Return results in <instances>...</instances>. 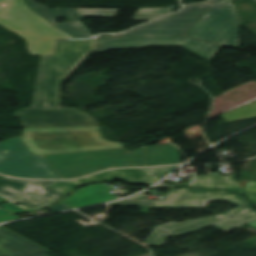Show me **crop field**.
<instances>
[{
	"label": "crop field",
	"mask_w": 256,
	"mask_h": 256,
	"mask_svg": "<svg viewBox=\"0 0 256 256\" xmlns=\"http://www.w3.org/2000/svg\"><path fill=\"white\" fill-rule=\"evenodd\" d=\"M233 0H207L126 33L99 35L96 52L106 49L182 46L210 61L222 46L238 45V19ZM256 2V0H254ZM169 35L170 37L113 38Z\"/></svg>",
	"instance_id": "1"
},
{
	"label": "crop field",
	"mask_w": 256,
	"mask_h": 256,
	"mask_svg": "<svg viewBox=\"0 0 256 256\" xmlns=\"http://www.w3.org/2000/svg\"><path fill=\"white\" fill-rule=\"evenodd\" d=\"M97 39L56 40L53 56H42L38 84L31 109L18 115L24 127L97 125L88 113L56 107L59 80L71 73L95 51Z\"/></svg>",
	"instance_id": "2"
},
{
	"label": "crop field",
	"mask_w": 256,
	"mask_h": 256,
	"mask_svg": "<svg viewBox=\"0 0 256 256\" xmlns=\"http://www.w3.org/2000/svg\"><path fill=\"white\" fill-rule=\"evenodd\" d=\"M100 126L25 128L22 141L37 155L119 148L122 142L105 140Z\"/></svg>",
	"instance_id": "3"
},
{
	"label": "crop field",
	"mask_w": 256,
	"mask_h": 256,
	"mask_svg": "<svg viewBox=\"0 0 256 256\" xmlns=\"http://www.w3.org/2000/svg\"><path fill=\"white\" fill-rule=\"evenodd\" d=\"M0 25L25 38L33 55H53L55 39L74 38L30 10L24 0H0Z\"/></svg>",
	"instance_id": "4"
},
{
	"label": "crop field",
	"mask_w": 256,
	"mask_h": 256,
	"mask_svg": "<svg viewBox=\"0 0 256 256\" xmlns=\"http://www.w3.org/2000/svg\"><path fill=\"white\" fill-rule=\"evenodd\" d=\"M145 147L126 153L124 148L43 156L66 179L112 167L145 166Z\"/></svg>",
	"instance_id": "5"
},
{
	"label": "crop field",
	"mask_w": 256,
	"mask_h": 256,
	"mask_svg": "<svg viewBox=\"0 0 256 256\" xmlns=\"http://www.w3.org/2000/svg\"><path fill=\"white\" fill-rule=\"evenodd\" d=\"M0 173L32 179H63L45 160L32 154L20 137L0 143Z\"/></svg>",
	"instance_id": "6"
},
{
	"label": "crop field",
	"mask_w": 256,
	"mask_h": 256,
	"mask_svg": "<svg viewBox=\"0 0 256 256\" xmlns=\"http://www.w3.org/2000/svg\"><path fill=\"white\" fill-rule=\"evenodd\" d=\"M53 183L55 182L24 181L0 176V195L28 211L39 210L66 196L48 186ZM31 187H40L45 193H32L15 201L11 200L30 192L28 189Z\"/></svg>",
	"instance_id": "7"
},
{
	"label": "crop field",
	"mask_w": 256,
	"mask_h": 256,
	"mask_svg": "<svg viewBox=\"0 0 256 256\" xmlns=\"http://www.w3.org/2000/svg\"><path fill=\"white\" fill-rule=\"evenodd\" d=\"M25 1L29 8L37 14L51 22L55 27L76 38H90L92 35L81 23L80 20H83L81 16L114 17L118 11V9L57 8L69 22L56 24L54 23L58 20L56 17L61 16V14L55 8H48L32 0Z\"/></svg>",
	"instance_id": "8"
},
{
	"label": "crop field",
	"mask_w": 256,
	"mask_h": 256,
	"mask_svg": "<svg viewBox=\"0 0 256 256\" xmlns=\"http://www.w3.org/2000/svg\"><path fill=\"white\" fill-rule=\"evenodd\" d=\"M210 225L218 228L225 233L237 228L221 220L217 216L190 220L183 223L171 222L168 224L157 226L147 238V240L144 242V244L153 247H160L162 246L168 235L175 238L199 231Z\"/></svg>",
	"instance_id": "9"
},
{
	"label": "crop field",
	"mask_w": 256,
	"mask_h": 256,
	"mask_svg": "<svg viewBox=\"0 0 256 256\" xmlns=\"http://www.w3.org/2000/svg\"><path fill=\"white\" fill-rule=\"evenodd\" d=\"M0 256H47L49 250L0 226Z\"/></svg>",
	"instance_id": "10"
},
{
	"label": "crop field",
	"mask_w": 256,
	"mask_h": 256,
	"mask_svg": "<svg viewBox=\"0 0 256 256\" xmlns=\"http://www.w3.org/2000/svg\"><path fill=\"white\" fill-rule=\"evenodd\" d=\"M212 193L202 189L169 190L164 201H154L152 208L206 207ZM171 202V204H169Z\"/></svg>",
	"instance_id": "11"
},
{
	"label": "crop field",
	"mask_w": 256,
	"mask_h": 256,
	"mask_svg": "<svg viewBox=\"0 0 256 256\" xmlns=\"http://www.w3.org/2000/svg\"><path fill=\"white\" fill-rule=\"evenodd\" d=\"M145 163L147 166L180 164L178 150L172 145L146 147Z\"/></svg>",
	"instance_id": "12"
},
{
	"label": "crop field",
	"mask_w": 256,
	"mask_h": 256,
	"mask_svg": "<svg viewBox=\"0 0 256 256\" xmlns=\"http://www.w3.org/2000/svg\"><path fill=\"white\" fill-rule=\"evenodd\" d=\"M149 172L147 171L146 168L116 169V170L108 171L112 179L120 178L123 181L132 183V184L152 185L155 182L160 180V178L154 176Z\"/></svg>",
	"instance_id": "13"
},
{
	"label": "crop field",
	"mask_w": 256,
	"mask_h": 256,
	"mask_svg": "<svg viewBox=\"0 0 256 256\" xmlns=\"http://www.w3.org/2000/svg\"><path fill=\"white\" fill-rule=\"evenodd\" d=\"M234 213L236 215H233ZM231 216L232 218H230ZM219 217L237 227H241L256 219V210L248 202L223 215H219Z\"/></svg>",
	"instance_id": "14"
},
{
	"label": "crop field",
	"mask_w": 256,
	"mask_h": 256,
	"mask_svg": "<svg viewBox=\"0 0 256 256\" xmlns=\"http://www.w3.org/2000/svg\"><path fill=\"white\" fill-rule=\"evenodd\" d=\"M97 181H112V179L110 175L107 173V171H105V172L94 174L86 178L79 179L77 181L58 182L50 186L67 195L69 192H71L74 188L78 186L92 183V182H97Z\"/></svg>",
	"instance_id": "15"
},
{
	"label": "crop field",
	"mask_w": 256,
	"mask_h": 256,
	"mask_svg": "<svg viewBox=\"0 0 256 256\" xmlns=\"http://www.w3.org/2000/svg\"><path fill=\"white\" fill-rule=\"evenodd\" d=\"M208 176L213 188H224L237 193H243L235 176L222 177L218 173H209Z\"/></svg>",
	"instance_id": "16"
},
{
	"label": "crop field",
	"mask_w": 256,
	"mask_h": 256,
	"mask_svg": "<svg viewBox=\"0 0 256 256\" xmlns=\"http://www.w3.org/2000/svg\"><path fill=\"white\" fill-rule=\"evenodd\" d=\"M253 116H256V102L248 104L244 107L236 109V110L229 112L227 114H224L220 117L231 122V121L249 118V117H253Z\"/></svg>",
	"instance_id": "17"
},
{
	"label": "crop field",
	"mask_w": 256,
	"mask_h": 256,
	"mask_svg": "<svg viewBox=\"0 0 256 256\" xmlns=\"http://www.w3.org/2000/svg\"><path fill=\"white\" fill-rule=\"evenodd\" d=\"M175 8H138L133 20L153 19L170 13Z\"/></svg>",
	"instance_id": "18"
},
{
	"label": "crop field",
	"mask_w": 256,
	"mask_h": 256,
	"mask_svg": "<svg viewBox=\"0 0 256 256\" xmlns=\"http://www.w3.org/2000/svg\"><path fill=\"white\" fill-rule=\"evenodd\" d=\"M218 200H223V201L238 204V205L248 202L244 198V196L235 195L229 192L215 191L211 198V201H218Z\"/></svg>",
	"instance_id": "19"
},
{
	"label": "crop field",
	"mask_w": 256,
	"mask_h": 256,
	"mask_svg": "<svg viewBox=\"0 0 256 256\" xmlns=\"http://www.w3.org/2000/svg\"><path fill=\"white\" fill-rule=\"evenodd\" d=\"M143 197H144V195L140 193L134 197L127 198L125 200L118 201V202L120 204H122L123 206L138 205V206H140L139 208L141 209L140 213H145L152 200L143 199Z\"/></svg>",
	"instance_id": "20"
},
{
	"label": "crop field",
	"mask_w": 256,
	"mask_h": 256,
	"mask_svg": "<svg viewBox=\"0 0 256 256\" xmlns=\"http://www.w3.org/2000/svg\"><path fill=\"white\" fill-rule=\"evenodd\" d=\"M189 186L212 188L208 176H192ZM183 187V186H178Z\"/></svg>",
	"instance_id": "21"
},
{
	"label": "crop field",
	"mask_w": 256,
	"mask_h": 256,
	"mask_svg": "<svg viewBox=\"0 0 256 256\" xmlns=\"http://www.w3.org/2000/svg\"><path fill=\"white\" fill-rule=\"evenodd\" d=\"M179 166H174V167H166V168H149L148 171L151 173L163 178L175 169H177Z\"/></svg>",
	"instance_id": "22"
},
{
	"label": "crop field",
	"mask_w": 256,
	"mask_h": 256,
	"mask_svg": "<svg viewBox=\"0 0 256 256\" xmlns=\"http://www.w3.org/2000/svg\"><path fill=\"white\" fill-rule=\"evenodd\" d=\"M245 191L248 192H256V182L249 181L247 185L244 187Z\"/></svg>",
	"instance_id": "23"
},
{
	"label": "crop field",
	"mask_w": 256,
	"mask_h": 256,
	"mask_svg": "<svg viewBox=\"0 0 256 256\" xmlns=\"http://www.w3.org/2000/svg\"><path fill=\"white\" fill-rule=\"evenodd\" d=\"M70 208H68V207H66V206H64V205H62V204H57V205H55V206H53L52 208H50V210L52 211V212H56V211H63V210H69Z\"/></svg>",
	"instance_id": "24"
},
{
	"label": "crop field",
	"mask_w": 256,
	"mask_h": 256,
	"mask_svg": "<svg viewBox=\"0 0 256 256\" xmlns=\"http://www.w3.org/2000/svg\"><path fill=\"white\" fill-rule=\"evenodd\" d=\"M245 194L249 197V199L251 201H253L254 203H256V193H248V192H245Z\"/></svg>",
	"instance_id": "25"
},
{
	"label": "crop field",
	"mask_w": 256,
	"mask_h": 256,
	"mask_svg": "<svg viewBox=\"0 0 256 256\" xmlns=\"http://www.w3.org/2000/svg\"><path fill=\"white\" fill-rule=\"evenodd\" d=\"M32 192H40V193H42V192H44V191H42L41 189H39V188H32V189H30ZM32 192H30V193H32ZM30 193H28V194H30ZM25 195H27V194H25ZM25 195H23V196H25ZM20 197H22V196H20ZM20 197H18V198H20ZM15 199H17V198H15ZM15 199H13V200H15Z\"/></svg>",
	"instance_id": "26"
},
{
	"label": "crop field",
	"mask_w": 256,
	"mask_h": 256,
	"mask_svg": "<svg viewBox=\"0 0 256 256\" xmlns=\"http://www.w3.org/2000/svg\"><path fill=\"white\" fill-rule=\"evenodd\" d=\"M156 187H171V186L168 185V184H166V183H164V182H162L161 184H159V185L156 186Z\"/></svg>",
	"instance_id": "27"
},
{
	"label": "crop field",
	"mask_w": 256,
	"mask_h": 256,
	"mask_svg": "<svg viewBox=\"0 0 256 256\" xmlns=\"http://www.w3.org/2000/svg\"><path fill=\"white\" fill-rule=\"evenodd\" d=\"M248 225H250V226H252V227L256 228V220H255V221H253V222H251V223H248Z\"/></svg>",
	"instance_id": "28"
},
{
	"label": "crop field",
	"mask_w": 256,
	"mask_h": 256,
	"mask_svg": "<svg viewBox=\"0 0 256 256\" xmlns=\"http://www.w3.org/2000/svg\"><path fill=\"white\" fill-rule=\"evenodd\" d=\"M5 201H7V200L4 199V198H2V197H0V204L3 203V202H5ZM7 202H8V201H7Z\"/></svg>",
	"instance_id": "29"
},
{
	"label": "crop field",
	"mask_w": 256,
	"mask_h": 256,
	"mask_svg": "<svg viewBox=\"0 0 256 256\" xmlns=\"http://www.w3.org/2000/svg\"><path fill=\"white\" fill-rule=\"evenodd\" d=\"M254 207H256V205L254 204Z\"/></svg>",
	"instance_id": "30"
}]
</instances>
